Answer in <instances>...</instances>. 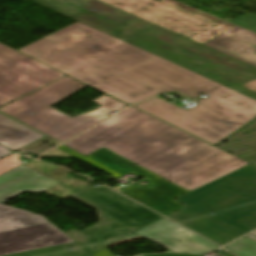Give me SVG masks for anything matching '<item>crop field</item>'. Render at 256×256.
<instances>
[{
    "mask_svg": "<svg viewBox=\"0 0 256 256\" xmlns=\"http://www.w3.org/2000/svg\"><path fill=\"white\" fill-rule=\"evenodd\" d=\"M18 51L129 105L179 91L208 98L183 110L159 97L133 107L213 146L256 118V101L76 21Z\"/></svg>",
    "mask_w": 256,
    "mask_h": 256,
    "instance_id": "8a807250",
    "label": "crop field"
},
{
    "mask_svg": "<svg viewBox=\"0 0 256 256\" xmlns=\"http://www.w3.org/2000/svg\"><path fill=\"white\" fill-rule=\"evenodd\" d=\"M63 145L104 147L189 191L248 164L133 107Z\"/></svg>",
    "mask_w": 256,
    "mask_h": 256,
    "instance_id": "ac0d7876",
    "label": "crop field"
},
{
    "mask_svg": "<svg viewBox=\"0 0 256 256\" xmlns=\"http://www.w3.org/2000/svg\"><path fill=\"white\" fill-rule=\"evenodd\" d=\"M256 98V68L96 0H32Z\"/></svg>",
    "mask_w": 256,
    "mask_h": 256,
    "instance_id": "34b2d1b8",
    "label": "crop field"
},
{
    "mask_svg": "<svg viewBox=\"0 0 256 256\" xmlns=\"http://www.w3.org/2000/svg\"><path fill=\"white\" fill-rule=\"evenodd\" d=\"M175 201L169 218L223 245L256 228V167L248 164Z\"/></svg>",
    "mask_w": 256,
    "mask_h": 256,
    "instance_id": "412701ff",
    "label": "crop field"
},
{
    "mask_svg": "<svg viewBox=\"0 0 256 256\" xmlns=\"http://www.w3.org/2000/svg\"><path fill=\"white\" fill-rule=\"evenodd\" d=\"M71 196L97 208L100 222L84 231L66 232L75 243L8 256H90L92 251L162 217L105 186H91Z\"/></svg>",
    "mask_w": 256,
    "mask_h": 256,
    "instance_id": "f4fd0767",
    "label": "crop field"
},
{
    "mask_svg": "<svg viewBox=\"0 0 256 256\" xmlns=\"http://www.w3.org/2000/svg\"><path fill=\"white\" fill-rule=\"evenodd\" d=\"M84 86L86 85L65 76L0 109V112L63 142L108 117L106 114L112 110L118 111L128 106L104 94L92 100L101 107L74 118L49 107Z\"/></svg>",
    "mask_w": 256,
    "mask_h": 256,
    "instance_id": "dd49c442",
    "label": "crop field"
},
{
    "mask_svg": "<svg viewBox=\"0 0 256 256\" xmlns=\"http://www.w3.org/2000/svg\"><path fill=\"white\" fill-rule=\"evenodd\" d=\"M98 1L203 45L238 30L169 0Z\"/></svg>",
    "mask_w": 256,
    "mask_h": 256,
    "instance_id": "e52e79f7",
    "label": "crop field"
},
{
    "mask_svg": "<svg viewBox=\"0 0 256 256\" xmlns=\"http://www.w3.org/2000/svg\"><path fill=\"white\" fill-rule=\"evenodd\" d=\"M54 150L68 157L74 156L75 158L115 178L129 172H132L138 177L146 178L147 181L152 184L151 188L129 186L119 192L165 216L184 207L183 205L173 201V199L187 193V191L103 148L86 157L63 145Z\"/></svg>",
    "mask_w": 256,
    "mask_h": 256,
    "instance_id": "d8731c3e",
    "label": "crop field"
},
{
    "mask_svg": "<svg viewBox=\"0 0 256 256\" xmlns=\"http://www.w3.org/2000/svg\"><path fill=\"white\" fill-rule=\"evenodd\" d=\"M72 242L42 216L0 204V256Z\"/></svg>",
    "mask_w": 256,
    "mask_h": 256,
    "instance_id": "5a996713",
    "label": "crop field"
},
{
    "mask_svg": "<svg viewBox=\"0 0 256 256\" xmlns=\"http://www.w3.org/2000/svg\"><path fill=\"white\" fill-rule=\"evenodd\" d=\"M63 76L0 44V106Z\"/></svg>",
    "mask_w": 256,
    "mask_h": 256,
    "instance_id": "3316defc",
    "label": "crop field"
},
{
    "mask_svg": "<svg viewBox=\"0 0 256 256\" xmlns=\"http://www.w3.org/2000/svg\"><path fill=\"white\" fill-rule=\"evenodd\" d=\"M135 233L173 252L203 253L219 248L212 242L165 218Z\"/></svg>",
    "mask_w": 256,
    "mask_h": 256,
    "instance_id": "28ad6ade",
    "label": "crop field"
},
{
    "mask_svg": "<svg viewBox=\"0 0 256 256\" xmlns=\"http://www.w3.org/2000/svg\"><path fill=\"white\" fill-rule=\"evenodd\" d=\"M59 182L23 165L0 176V203L23 191L42 192Z\"/></svg>",
    "mask_w": 256,
    "mask_h": 256,
    "instance_id": "d1516ede",
    "label": "crop field"
},
{
    "mask_svg": "<svg viewBox=\"0 0 256 256\" xmlns=\"http://www.w3.org/2000/svg\"><path fill=\"white\" fill-rule=\"evenodd\" d=\"M207 46L256 67V34L240 29Z\"/></svg>",
    "mask_w": 256,
    "mask_h": 256,
    "instance_id": "22f410ed",
    "label": "crop field"
},
{
    "mask_svg": "<svg viewBox=\"0 0 256 256\" xmlns=\"http://www.w3.org/2000/svg\"><path fill=\"white\" fill-rule=\"evenodd\" d=\"M41 137L43 135L0 115V143L8 148L15 151ZM9 153L11 152L0 146V158Z\"/></svg>",
    "mask_w": 256,
    "mask_h": 256,
    "instance_id": "cbeb9de0",
    "label": "crop field"
},
{
    "mask_svg": "<svg viewBox=\"0 0 256 256\" xmlns=\"http://www.w3.org/2000/svg\"><path fill=\"white\" fill-rule=\"evenodd\" d=\"M224 248L238 256H256V242L245 236L224 246Z\"/></svg>",
    "mask_w": 256,
    "mask_h": 256,
    "instance_id": "5142ce71",
    "label": "crop field"
},
{
    "mask_svg": "<svg viewBox=\"0 0 256 256\" xmlns=\"http://www.w3.org/2000/svg\"><path fill=\"white\" fill-rule=\"evenodd\" d=\"M58 144L59 143H57V142H55V141L45 137V138H43V139H41V140H39V141H37V142H35V143L25 147V148H23V149H21V150H19L17 152H19L21 154H25L27 152H32L34 154L39 155V154L47 151L48 149H50V148H52V147H54V146H56Z\"/></svg>",
    "mask_w": 256,
    "mask_h": 256,
    "instance_id": "d9b57169",
    "label": "crop field"
},
{
    "mask_svg": "<svg viewBox=\"0 0 256 256\" xmlns=\"http://www.w3.org/2000/svg\"><path fill=\"white\" fill-rule=\"evenodd\" d=\"M21 155L11 154L0 160V174L22 164L18 159Z\"/></svg>",
    "mask_w": 256,
    "mask_h": 256,
    "instance_id": "733c2abd",
    "label": "crop field"
},
{
    "mask_svg": "<svg viewBox=\"0 0 256 256\" xmlns=\"http://www.w3.org/2000/svg\"><path fill=\"white\" fill-rule=\"evenodd\" d=\"M93 256H112L109 249L106 247L92 253Z\"/></svg>",
    "mask_w": 256,
    "mask_h": 256,
    "instance_id": "4a817a6b",
    "label": "crop field"
},
{
    "mask_svg": "<svg viewBox=\"0 0 256 256\" xmlns=\"http://www.w3.org/2000/svg\"><path fill=\"white\" fill-rule=\"evenodd\" d=\"M155 256H199V255H193V254H165V255H155ZM227 256H233L231 254Z\"/></svg>",
    "mask_w": 256,
    "mask_h": 256,
    "instance_id": "bc2a9ffb",
    "label": "crop field"
},
{
    "mask_svg": "<svg viewBox=\"0 0 256 256\" xmlns=\"http://www.w3.org/2000/svg\"><path fill=\"white\" fill-rule=\"evenodd\" d=\"M245 236H247V237H249V238H251V239L256 241V230L251 232V233H249V234H247V235H245Z\"/></svg>",
    "mask_w": 256,
    "mask_h": 256,
    "instance_id": "214f88e0",
    "label": "crop field"
}]
</instances>
